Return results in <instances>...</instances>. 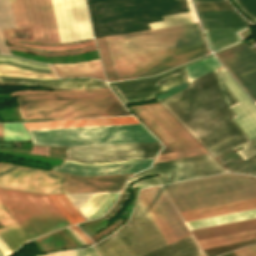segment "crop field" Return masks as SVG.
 <instances>
[{"label":"crop field","instance_id":"obj_1","mask_svg":"<svg viewBox=\"0 0 256 256\" xmlns=\"http://www.w3.org/2000/svg\"><path fill=\"white\" fill-rule=\"evenodd\" d=\"M216 71L239 102L220 82L223 79ZM216 71L190 82V88L160 102L214 157L256 135V105L224 67Z\"/></svg>","mask_w":256,"mask_h":256},{"label":"crop field","instance_id":"obj_2","mask_svg":"<svg viewBox=\"0 0 256 256\" xmlns=\"http://www.w3.org/2000/svg\"><path fill=\"white\" fill-rule=\"evenodd\" d=\"M139 200L167 244L190 235L159 186L141 190ZM140 202L121 227L133 246L126 249L115 232L95 244L100 256H203L192 235L167 245Z\"/></svg>","mask_w":256,"mask_h":256},{"label":"crop field","instance_id":"obj_3","mask_svg":"<svg viewBox=\"0 0 256 256\" xmlns=\"http://www.w3.org/2000/svg\"><path fill=\"white\" fill-rule=\"evenodd\" d=\"M107 38L119 80L156 75L210 53L198 22Z\"/></svg>","mask_w":256,"mask_h":256},{"label":"crop field","instance_id":"obj_4","mask_svg":"<svg viewBox=\"0 0 256 256\" xmlns=\"http://www.w3.org/2000/svg\"><path fill=\"white\" fill-rule=\"evenodd\" d=\"M60 42L92 37L85 0H51ZM16 28L32 26L34 41L59 42L50 0H10ZM8 0H0V53L10 54L1 29L15 28Z\"/></svg>","mask_w":256,"mask_h":256},{"label":"crop field","instance_id":"obj_5","mask_svg":"<svg viewBox=\"0 0 256 256\" xmlns=\"http://www.w3.org/2000/svg\"><path fill=\"white\" fill-rule=\"evenodd\" d=\"M184 222L256 209V178L220 174L162 186Z\"/></svg>","mask_w":256,"mask_h":256},{"label":"crop field","instance_id":"obj_6","mask_svg":"<svg viewBox=\"0 0 256 256\" xmlns=\"http://www.w3.org/2000/svg\"><path fill=\"white\" fill-rule=\"evenodd\" d=\"M22 119L131 115L112 91L17 97Z\"/></svg>","mask_w":256,"mask_h":256},{"label":"crop field","instance_id":"obj_7","mask_svg":"<svg viewBox=\"0 0 256 256\" xmlns=\"http://www.w3.org/2000/svg\"><path fill=\"white\" fill-rule=\"evenodd\" d=\"M34 144L95 145L157 141L141 124L29 131Z\"/></svg>","mask_w":256,"mask_h":256},{"label":"crop field","instance_id":"obj_8","mask_svg":"<svg viewBox=\"0 0 256 256\" xmlns=\"http://www.w3.org/2000/svg\"><path fill=\"white\" fill-rule=\"evenodd\" d=\"M0 202L30 239L69 225L47 195L0 189Z\"/></svg>","mask_w":256,"mask_h":256},{"label":"crop field","instance_id":"obj_9","mask_svg":"<svg viewBox=\"0 0 256 256\" xmlns=\"http://www.w3.org/2000/svg\"><path fill=\"white\" fill-rule=\"evenodd\" d=\"M224 172L226 171L209 154H206L152 164L150 169L137 173L127 182L130 184L144 176L160 175L155 178L141 180L132 186L133 188L139 186L143 188L169 181L177 182Z\"/></svg>","mask_w":256,"mask_h":256},{"label":"crop field","instance_id":"obj_10","mask_svg":"<svg viewBox=\"0 0 256 256\" xmlns=\"http://www.w3.org/2000/svg\"><path fill=\"white\" fill-rule=\"evenodd\" d=\"M130 109L165 145L159 155L200 147L158 103Z\"/></svg>","mask_w":256,"mask_h":256},{"label":"crop field","instance_id":"obj_11","mask_svg":"<svg viewBox=\"0 0 256 256\" xmlns=\"http://www.w3.org/2000/svg\"><path fill=\"white\" fill-rule=\"evenodd\" d=\"M64 173L39 171L0 163V188L43 194L61 193Z\"/></svg>","mask_w":256,"mask_h":256},{"label":"crop field","instance_id":"obj_12","mask_svg":"<svg viewBox=\"0 0 256 256\" xmlns=\"http://www.w3.org/2000/svg\"><path fill=\"white\" fill-rule=\"evenodd\" d=\"M159 142L68 148L66 156L83 161L154 158Z\"/></svg>","mask_w":256,"mask_h":256},{"label":"crop field","instance_id":"obj_13","mask_svg":"<svg viewBox=\"0 0 256 256\" xmlns=\"http://www.w3.org/2000/svg\"><path fill=\"white\" fill-rule=\"evenodd\" d=\"M216 56L256 102V52L243 43Z\"/></svg>","mask_w":256,"mask_h":256},{"label":"crop field","instance_id":"obj_14","mask_svg":"<svg viewBox=\"0 0 256 256\" xmlns=\"http://www.w3.org/2000/svg\"><path fill=\"white\" fill-rule=\"evenodd\" d=\"M178 75V76H176ZM176 76V77H174ZM174 77L156 87L160 82ZM183 68L176 69L153 79L115 83L112 86L121 96L125 103H131L153 98V94L166 91L174 86L185 82Z\"/></svg>","mask_w":256,"mask_h":256},{"label":"crop field","instance_id":"obj_15","mask_svg":"<svg viewBox=\"0 0 256 256\" xmlns=\"http://www.w3.org/2000/svg\"><path fill=\"white\" fill-rule=\"evenodd\" d=\"M151 161L152 159L106 163H81L65 160L61 168L55 167L53 170L84 176L126 174L136 173L146 167H149Z\"/></svg>","mask_w":256,"mask_h":256},{"label":"crop field","instance_id":"obj_16","mask_svg":"<svg viewBox=\"0 0 256 256\" xmlns=\"http://www.w3.org/2000/svg\"><path fill=\"white\" fill-rule=\"evenodd\" d=\"M131 175H110L96 177H76L66 175L62 185L63 192L109 191L120 189Z\"/></svg>","mask_w":256,"mask_h":256},{"label":"crop field","instance_id":"obj_17","mask_svg":"<svg viewBox=\"0 0 256 256\" xmlns=\"http://www.w3.org/2000/svg\"><path fill=\"white\" fill-rule=\"evenodd\" d=\"M111 192H119V191H111ZM111 192L76 193V194H65V195L71 201V203L75 206V208L79 211V213L84 217V219L87 220V217L88 219H90V218L101 215V213L111 204L112 200L116 195V193L100 194V195H93V194L111 193ZM117 196L115 197V199L117 198ZM80 208L82 209V211L85 213L87 217L84 215V213L81 211Z\"/></svg>","mask_w":256,"mask_h":256},{"label":"crop field","instance_id":"obj_18","mask_svg":"<svg viewBox=\"0 0 256 256\" xmlns=\"http://www.w3.org/2000/svg\"><path fill=\"white\" fill-rule=\"evenodd\" d=\"M132 123H138L134 117L66 120V121H52V122H42V123H24V125L27 130H36V129H52V128H68V127L132 124Z\"/></svg>","mask_w":256,"mask_h":256},{"label":"crop field","instance_id":"obj_19","mask_svg":"<svg viewBox=\"0 0 256 256\" xmlns=\"http://www.w3.org/2000/svg\"><path fill=\"white\" fill-rule=\"evenodd\" d=\"M203 28H236L250 25L236 10L198 12Z\"/></svg>","mask_w":256,"mask_h":256},{"label":"crop field","instance_id":"obj_20","mask_svg":"<svg viewBox=\"0 0 256 256\" xmlns=\"http://www.w3.org/2000/svg\"><path fill=\"white\" fill-rule=\"evenodd\" d=\"M0 57L10 58V59H14V60L22 61V62L25 61V62H28V63L37 64V65H41V66H47L48 65V67H49V69H50V71L52 73V74H46V73H50V71L39 70L40 68L48 69V67H40V66H36V65H32V64H27V63H22V62L10 60V59L0 58V60H10V61H14V62H18V63H22V64L34 66V67H40V68L39 69H34V68H29V67H25V66L9 63V62L0 61V63H3V64H8V65H13V66H17V67H22V68H26V69H30V70H34V71H38V72H46V73H38V72H34V71H29V70H25V69H21V68H17V67H12V66H8V65L0 64V75L16 76V77H27V78H39V79H57V77H56V75H55L51 65H49V64L46 65V64L34 63V62H31V61L19 59V58L12 57V56L0 55Z\"/></svg>","mask_w":256,"mask_h":256},{"label":"crop field","instance_id":"obj_21","mask_svg":"<svg viewBox=\"0 0 256 256\" xmlns=\"http://www.w3.org/2000/svg\"><path fill=\"white\" fill-rule=\"evenodd\" d=\"M52 65L60 77L92 76L105 80L99 59L74 64Z\"/></svg>","mask_w":256,"mask_h":256},{"label":"crop field","instance_id":"obj_22","mask_svg":"<svg viewBox=\"0 0 256 256\" xmlns=\"http://www.w3.org/2000/svg\"><path fill=\"white\" fill-rule=\"evenodd\" d=\"M0 223L4 228L0 229V238L11 250H15L22 243L30 240L19 225L11 218L0 203Z\"/></svg>","mask_w":256,"mask_h":256},{"label":"crop field","instance_id":"obj_23","mask_svg":"<svg viewBox=\"0 0 256 256\" xmlns=\"http://www.w3.org/2000/svg\"><path fill=\"white\" fill-rule=\"evenodd\" d=\"M2 82L22 83L31 85L41 86H54V87H72V88H95V87H107L105 82L98 81L92 78L80 79V80H50V81H39L31 79L21 78H2Z\"/></svg>","mask_w":256,"mask_h":256},{"label":"crop field","instance_id":"obj_24","mask_svg":"<svg viewBox=\"0 0 256 256\" xmlns=\"http://www.w3.org/2000/svg\"><path fill=\"white\" fill-rule=\"evenodd\" d=\"M242 29L244 28L216 29L204 31L212 51H216L241 40V38L237 36V32Z\"/></svg>","mask_w":256,"mask_h":256},{"label":"crop field","instance_id":"obj_25","mask_svg":"<svg viewBox=\"0 0 256 256\" xmlns=\"http://www.w3.org/2000/svg\"><path fill=\"white\" fill-rule=\"evenodd\" d=\"M254 217H256V210H250V211H245V212H240L235 214H229V215H224V216H219L214 218L187 222L186 225L189 228V230H192V229L208 227V226H213V225H218V224H223L228 222H234V221H239V220H244V219H249Z\"/></svg>","mask_w":256,"mask_h":256},{"label":"crop field","instance_id":"obj_26","mask_svg":"<svg viewBox=\"0 0 256 256\" xmlns=\"http://www.w3.org/2000/svg\"><path fill=\"white\" fill-rule=\"evenodd\" d=\"M253 239H256V229L235 233V234H230V235H225V236H220V237L199 240L198 243L200 244L202 249H205V248H211V247L243 242V241H248Z\"/></svg>","mask_w":256,"mask_h":256},{"label":"crop field","instance_id":"obj_27","mask_svg":"<svg viewBox=\"0 0 256 256\" xmlns=\"http://www.w3.org/2000/svg\"><path fill=\"white\" fill-rule=\"evenodd\" d=\"M190 12L163 17L165 21L146 23L144 29L159 28L197 21L191 0H186Z\"/></svg>","mask_w":256,"mask_h":256},{"label":"crop field","instance_id":"obj_28","mask_svg":"<svg viewBox=\"0 0 256 256\" xmlns=\"http://www.w3.org/2000/svg\"><path fill=\"white\" fill-rule=\"evenodd\" d=\"M97 45L102 60L103 68L105 71L106 79L108 81L118 80L116 71L114 68L113 60L111 57L110 49L108 46L107 38H97Z\"/></svg>","mask_w":256,"mask_h":256},{"label":"crop field","instance_id":"obj_29","mask_svg":"<svg viewBox=\"0 0 256 256\" xmlns=\"http://www.w3.org/2000/svg\"><path fill=\"white\" fill-rule=\"evenodd\" d=\"M70 224L84 221L64 194L48 195Z\"/></svg>","mask_w":256,"mask_h":256},{"label":"crop field","instance_id":"obj_30","mask_svg":"<svg viewBox=\"0 0 256 256\" xmlns=\"http://www.w3.org/2000/svg\"><path fill=\"white\" fill-rule=\"evenodd\" d=\"M220 66L222 65L214 56L190 64L185 67L188 81H191Z\"/></svg>","mask_w":256,"mask_h":256},{"label":"crop field","instance_id":"obj_31","mask_svg":"<svg viewBox=\"0 0 256 256\" xmlns=\"http://www.w3.org/2000/svg\"><path fill=\"white\" fill-rule=\"evenodd\" d=\"M4 141L30 140L21 123L3 124Z\"/></svg>","mask_w":256,"mask_h":256},{"label":"crop field","instance_id":"obj_32","mask_svg":"<svg viewBox=\"0 0 256 256\" xmlns=\"http://www.w3.org/2000/svg\"><path fill=\"white\" fill-rule=\"evenodd\" d=\"M229 172L256 175V155L230 167Z\"/></svg>","mask_w":256,"mask_h":256},{"label":"crop field","instance_id":"obj_33","mask_svg":"<svg viewBox=\"0 0 256 256\" xmlns=\"http://www.w3.org/2000/svg\"><path fill=\"white\" fill-rule=\"evenodd\" d=\"M206 153L207 152L204 151L202 148H199V149H193V150L171 153V154H166V155H160V156H157L154 163L166 161V160L183 158V157H189V156H194V155L206 154Z\"/></svg>","mask_w":256,"mask_h":256},{"label":"crop field","instance_id":"obj_34","mask_svg":"<svg viewBox=\"0 0 256 256\" xmlns=\"http://www.w3.org/2000/svg\"><path fill=\"white\" fill-rule=\"evenodd\" d=\"M198 11L233 9L229 2L195 4Z\"/></svg>","mask_w":256,"mask_h":256},{"label":"crop field","instance_id":"obj_35","mask_svg":"<svg viewBox=\"0 0 256 256\" xmlns=\"http://www.w3.org/2000/svg\"><path fill=\"white\" fill-rule=\"evenodd\" d=\"M110 90L109 88L99 89H81V90H66V91H17L13 92L12 96L23 95V94H35V93H63V92H88V91H104Z\"/></svg>","mask_w":256,"mask_h":256},{"label":"crop field","instance_id":"obj_36","mask_svg":"<svg viewBox=\"0 0 256 256\" xmlns=\"http://www.w3.org/2000/svg\"><path fill=\"white\" fill-rule=\"evenodd\" d=\"M245 149L237 151L240 153L245 159L256 154V138L242 144ZM241 146V145H240ZM239 147V146H238ZM237 148V147H236Z\"/></svg>","mask_w":256,"mask_h":256},{"label":"crop field","instance_id":"obj_37","mask_svg":"<svg viewBox=\"0 0 256 256\" xmlns=\"http://www.w3.org/2000/svg\"><path fill=\"white\" fill-rule=\"evenodd\" d=\"M240 6L256 19V0H236Z\"/></svg>","mask_w":256,"mask_h":256},{"label":"crop field","instance_id":"obj_38","mask_svg":"<svg viewBox=\"0 0 256 256\" xmlns=\"http://www.w3.org/2000/svg\"><path fill=\"white\" fill-rule=\"evenodd\" d=\"M128 185H129V184L126 182V184H125V186H124V188H123V190H122V192H121V194H120L118 200L116 201V203H115V204L109 209V211H108L104 216H102V217L105 218V217L117 206L118 202L120 201L121 197L123 196V194H124V192H125V190H126V188H127ZM129 194H130V193H129ZM127 195H128V192H126V194H125V196H124L122 202L120 203V205L113 211V213L107 218V220H109L112 216H114V215L119 211V209L122 207V205H123V203H124V201H125ZM128 196H129V195H128ZM105 219H106V218H105Z\"/></svg>","mask_w":256,"mask_h":256},{"label":"crop field","instance_id":"obj_39","mask_svg":"<svg viewBox=\"0 0 256 256\" xmlns=\"http://www.w3.org/2000/svg\"><path fill=\"white\" fill-rule=\"evenodd\" d=\"M235 256H256V245L234 251Z\"/></svg>","mask_w":256,"mask_h":256},{"label":"crop field","instance_id":"obj_40","mask_svg":"<svg viewBox=\"0 0 256 256\" xmlns=\"http://www.w3.org/2000/svg\"><path fill=\"white\" fill-rule=\"evenodd\" d=\"M75 256H98L93 247L73 251Z\"/></svg>","mask_w":256,"mask_h":256},{"label":"crop field","instance_id":"obj_41","mask_svg":"<svg viewBox=\"0 0 256 256\" xmlns=\"http://www.w3.org/2000/svg\"><path fill=\"white\" fill-rule=\"evenodd\" d=\"M87 245L92 244V241L83 234L76 226L70 227Z\"/></svg>","mask_w":256,"mask_h":256},{"label":"crop field","instance_id":"obj_42","mask_svg":"<svg viewBox=\"0 0 256 256\" xmlns=\"http://www.w3.org/2000/svg\"><path fill=\"white\" fill-rule=\"evenodd\" d=\"M117 234L119 235V237L121 238L122 242L124 243V245L127 247L131 246V243L129 242V240L127 239V237L125 236V234L123 233V231L121 230V228L116 231ZM119 238V239H120Z\"/></svg>","mask_w":256,"mask_h":256},{"label":"crop field","instance_id":"obj_43","mask_svg":"<svg viewBox=\"0 0 256 256\" xmlns=\"http://www.w3.org/2000/svg\"><path fill=\"white\" fill-rule=\"evenodd\" d=\"M44 256H74V255L72 251H68V252H59V253H54V254H49Z\"/></svg>","mask_w":256,"mask_h":256},{"label":"crop field","instance_id":"obj_44","mask_svg":"<svg viewBox=\"0 0 256 256\" xmlns=\"http://www.w3.org/2000/svg\"><path fill=\"white\" fill-rule=\"evenodd\" d=\"M0 251L2 252L3 255H6L8 253H11L9 251V249L6 247V245L2 242V240L0 239Z\"/></svg>","mask_w":256,"mask_h":256},{"label":"crop field","instance_id":"obj_45","mask_svg":"<svg viewBox=\"0 0 256 256\" xmlns=\"http://www.w3.org/2000/svg\"><path fill=\"white\" fill-rule=\"evenodd\" d=\"M220 1H228V0H194L195 3H203V2H220Z\"/></svg>","mask_w":256,"mask_h":256},{"label":"crop field","instance_id":"obj_46","mask_svg":"<svg viewBox=\"0 0 256 256\" xmlns=\"http://www.w3.org/2000/svg\"><path fill=\"white\" fill-rule=\"evenodd\" d=\"M0 136H3L1 124H0Z\"/></svg>","mask_w":256,"mask_h":256},{"label":"crop field","instance_id":"obj_47","mask_svg":"<svg viewBox=\"0 0 256 256\" xmlns=\"http://www.w3.org/2000/svg\"><path fill=\"white\" fill-rule=\"evenodd\" d=\"M0 256H2V254Z\"/></svg>","mask_w":256,"mask_h":256}]
</instances>
